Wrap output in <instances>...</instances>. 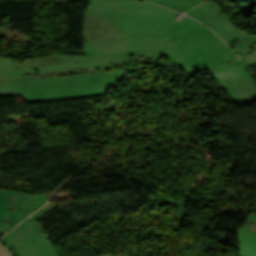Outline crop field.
Here are the masks:
<instances>
[{"instance_id":"1","label":"crop field","mask_w":256,"mask_h":256,"mask_svg":"<svg viewBox=\"0 0 256 256\" xmlns=\"http://www.w3.org/2000/svg\"><path fill=\"white\" fill-rule=\"evenodd\" d=\"M145 1L91 0L83 20V55L52 54L22 64L0 58V97L27 103L105 95L130 72L135 55L170 60L186 72L238 57L204 24Z\"/></svg>"},{"instance_id":"2","label":"crop field","mask_w":256,"mask_h":256,"mask_svg":"<svg viewBox=\"0 0 256 256\" xmlns=\"http://www.w3.org/2000/svg\"><path fill=\"white\" fill-rule=\"evenodd\" d=\"M206 23L235 52L241 56L246 71L256 67V36L250 35L233 25L227 14L213 1H205L186 13ZM255 49L252 51L249 47Z\"/></svg>"},{"instance_id":"3","label":"crop field","mask_w":256,"mask_h":256,"mask_svg":"<svg viewBox=\"0 0 256 256\" xmlns=\"http://www.w3.org/2000/svg\"><path fill=\"white\" fill-rule=\"evenodd\" d=\"M55 206L57 205L53 204L50 208L23 221L0 241L18 256H58L51 242L35 221Z\"/></svg>"},{"instance_id":"4","label":"crop field","mask_w":256,"mask_h":256,"mask_svg":"<svg viewBox=\"0 0 256 256\" xmlns=\"http://www.w3.org/2000/svg\"><path fill=\"white\" fill-rule=\"evenodd\" d=\"M210 72L232 102L241 106L256 101V84L240 59Z\"/></svg>"},{"instance_id":"5","label":"crop field","mask_w":256,"mask_h":256,"mask_svg":"<svg viewBox=\"0 0 256 256\" xmlns=\"http://www.w3.org/2000/svg\"><path fill=\"white\" fill-rule=\"evenodd\" d=\"M241 256H256V216H250L246 226L238 231Z\"/></svg>"},{"instance_id":"6","label":"crop field","mask_w":256,"mask_h":256,"mask_svg":"<svg viewBox=\"0 0 256 256\" xmlns=\"http://www.w3.org/2000/svg\"><path fill=\"white\" fill-rule=\"evenodd\" d=\"M7 195H16V210H23L31 213L36 211L50 199V197L43 193L31 196L23 192L5 190V196Z\"/></svg>"},{"instance_id":"7","label":"crop field","mask_w":256,"mask_h":256,"mask_svg":"<svg viewBox=\"0 0 256 256\" xmlns=\"http://www.w3.org/2000/svg\"><path fill=\"white\" fill-rule=\"evenodd\" d=\"M15 196L4 197V190L0 189V221L19 224L30 213L14 210Z\"/></svg>"},{"instance_id":"8","label":"crop field","mask_w":256,"mask_h":256,"mask_svg":"<svg viewBox=\"0 0 256 256\" xmlns=\"http://www.w3.org/2000/svg\"><path fill=\"white\" fill-rule=\"evenodd\" d=\"M157 4H162L173 10L186 12L203 0H148Z\"/></svg>"},{"instance_id":"9","label":"crop field","mask_w":256,"mask_h":256,"mask_svg":"<svg viewBox=\"0 0 256 256\" xmlns=\"http://www.w3.org/2000/svg\"><path fill=\"white\" fill-rule=\"evenodd\" d=\"M16 226V224L0 222V236Z\"/></svg>"},{"instance_id":"10","label":"crop field","mask_w":256,"mask_h":256,"mask_svg":"<svg viewBox=\"0 0 256 256\" xmlns=\"http://www.w3.org/2000/svg\"><path fill=\"white\" fill-rule=\"evenodd\" d=\"M0 256H13L12 253L0 244Z\"/></svg>"}]
</instances>
